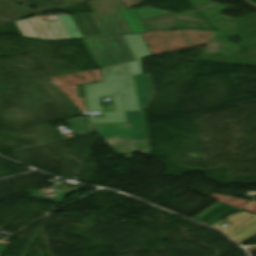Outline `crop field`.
Masks as SVG:
<instances>
[{
    "label": "crop field",
    "mask_w": 256,
    "mask_h": 256,
    "mask_svg": "<svg viewBox=\"0 0 256 256\" xmlns=\"http://www.w3.org/2000/svg\"><path fill=\"white\" fill-rule=\"evenodd\" d=\"M87 3L93 14L83 15V18L82 15H61L55 22L28 19L16 24L23 36L48 39L74 38L143 32L145 29L140 20L168 13L148 6L126 10L121 0H92ZM76 23L80 25L77 26ZM72 28L76 31L73 32Z\"/></svg>",
    "instance_id": "crop-field-1"
},
{
    "label": "crop field",
    "mask_w": 256,
    "mask_h": 256,
    "mask_svg": "<svg viewBox=\"0 0 256 256\" xmlns=\"http://www.w3.org/2000/svg\"><path fill=\"white\" fill-rule=\"evenodd\" d=\"M136 61L103 67L105 81L78 86L79 97H86L87 111L100 108V96H112L115 112L106 118H88L91 123H127L124 111H140L133 75L142 74L140 59L151 56L140 34L123 35Z\"/></svg>",
    "instance_id": "crop-field-2"
},
{
    "label": "crop field",
    "mask_w": 256,
    "mask_h": 256,
    "mask_svg": "<svg viewBox=\"0 0 256 256\" xmlns=\"http://www.w3.org/2000/svg\"><path fill=\"white\" fill-rule=\"evenodd\" d=\"M141 112H125L128 124H91L113 152L130 157L131 151L150 153L144 110L154 91L150 75L134 76Z\"/></svg>",
    "instance_id": "crop-field-3"
},
{
    "label": "crop field",
    "mask_w": 256,
    "mask_h": 256,
    "mask_svg": "<svg viewBox=\"0 0 256 256\" xmlns=\"http://www.w3.org/2000/svg\"><path fill=\"white\" fill-rule=\"evenodd\" d=\"M98 67L134 60L122 36L83 39Z\"/></svg>",
    "instance_id": "crop-field-4"
},
{
    "label": "crop field",
    "mask_w": 256,
    "mask_h": 256,
    "mask_svg": "<svg viewBox=\"0 0 256 256\" xmlns=\"http://www.w3.org/2000/svg\"><path fill=\"white\" fill-rule=\"evenodd\" d=\"M250 216L254 217L249 219ZM227 220L234 224L227 228L216 224L217 226L213 228L225 233L238 243L256 234V215L241 212L227 218Z\"/></svg>",
    "instance_id": "crop-field-5"
},
{
    "label": "crop field",
    "mask_w": 256,
    "mask_h": 256,
    "mask_svg": "<svg viewBox=\"0 0 256 256\" xmlns=\"http://www.w3.org/2000/svg\"><path fill=\"white\" fill-rule=\"evenodd\" d=\"M66 121L73 127L77 135L88 132V123L85 120V118L77 117V118L67 119ZM79 122H82V124H80ZM80 125H82L83 128H81Z\"/></svg>",
    "instance_id": "crop-field-6"
},
{
    "label": "crop field",
    "mask_w": 256,
    "mask_h": 256,
    "mask_svg": "<svg viewBox=\"0 0 256 256\" xmlns=\"http://www.w3.org/2000/svg\"><path fill=\"white\" fill-rule=\"evenodd\" d=\"M8 246V244L0 243V254H2Z\"/></svg>",
    "instance_id": "crop-field-7"
},
{
    "label": "crop field",
    "mask_w": 256,
    "mask_h": 256,
    "mask_svg": "<svg viewBox=\"0 0 256 256\" xmlns=\"http://www.w3.org/2000/svg\"><path fill=\"white\" fill-rule=\"evenodd\" d=\"M0 239H1V236H0Z\"/></svg>",
    "instance_id": "crop-field-8"
}]
</instances>
